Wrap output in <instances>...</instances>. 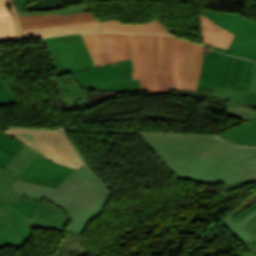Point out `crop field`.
I'll return each mask as SVG.
<instances>
[{"mask_svg": "<svg viewBox=\"0 0 256 256\" xmlns=\"http://www.w3.org/2000/svg\"><path fill=\"white\" fill-rule=\"evenodd\" d=\"M225 104L226 105H232V106H234V107H238V106H242V105H239V104H236V103H232V102H228V101H226L225 102ZM242 107H246V106H242ZM246 108H250V107H246ZM250 109H253L254 110V108H250Z\"/></svg>", "mask_w": 256, "mask_h": 256, "instance_id": "c21b1889", "label": "crop field"}, {"mask_svg": "<svg viewBox=\"0 0 256 256\" xmlns=\"http://www.w3.org/2000/svg\"><path fill=\"white\" fill-rule=\"evenodd\" d=\"M14 191L45 197L67 209L73 222L68 231L81 233L86 222L106 203L108 190L82 165L56 189L15 180Z\"/></svg>", "mask_w": 256, "mask_h": 256, "instance_id": "ac0d7876", "label": "crop field"}, {"mask_svg": "<svg viewBox=\"0 0 256 256\" xmlns=\"http://www.w3.org/2000/svg\"><path fill=\"white\" fill-rule=\"evenodd\" d=\"M136 51L140 71L141 90L148 89L147 70H158L160 35H136Z\"/></svg>", "mask_w": 256, "mask_h": 256, "instance_id": "28ad6ade", "label": "crop field"}, {"mask_svg": "<svg viewBox=\"0 0 256 256\" xmlns=\"http://www.w3.org/2000/svg\"><path fill=\"white\" fill-rule=\"evenodd\" d=\"M214 96L228 98L232 101L242 103L247 92L240 91L232 88H215Z\"/></svg>", "mask_w": 256, "mask_h": 256, "instance_id": "eef30255", "label": "crop field"}, {"mask_svg": "<svg viewBox=\"0 0 256 256\" xmlns=\"http://www.w3.org/2000/svg\"><path fill=\"white\" fill-rule=\"evenodd\" d=\"M255 208H256V203L254 205H252L251 207L238 213L236 216L233 217V219L237 221V220L241 219L242 217H244L247 213L251 212Z\"/></svg>", "mask_w": 256, "mask_h": 256, "instance_id": "0bd39190", "label": "crop field"}, {"mask_svg": "<svg viewBox=\"0 0 256 256\" xmlns=\"http://www.w3.org/2000/svg\"><path fill=\"white\" fill-rule=\"evenodd\" d=\"M12 171H8L0 167V200L7 199L13 203L20 197V193L12 191L14 180L9 178L12 174ZM6 214L3 210L0 209V216Z\"/></svg>", "mask_w": 256, "mask_h": 256, "instance_id": "00972430", "label": "crop field"}, {"mask_svg": "<svg viewBox=\"0 0 256 256\" xmlns=\"http://www.w3.org/2000/svg\"><path fill=\"white\" fill-rule=\"evenodd\" d=\"M17 103L6 87L0 88V106Z\"/></svg>", "mask_w": 256, "mask_h": 256, "instance_id": "d32e631a", "label": "crop field"}, {"mask_svg": "<svg viewBox=\"0 0 256 256\" xmlns=\"http://www.w3.org/2000/svg\"><path fill=\"white\" fill-rule=\"evenodd\" d=\"M40 153L32 160V162L20 173L16 179L26 181L27 178L32 174V172L40 165V163L45 159Z\"/></svg>", "mask_w": 256, "mask_h": 256, "instance_id": "bd1437ed", "label": "crop field"}, {"mask_svg": "<svg viewBox=\"0 0 256 256\" xmlns=\"http://www.w3.org/2000/svg\"><path fill=\"white\" fill-rule=\"evenodd\" d=\"M97 66L130 59L127 34H83Z\"/></svg>", "mask_w": 256, "mask_h": 256, "instance_id": "5a996713", "label": "crop field"}, {"mask_svg": "<svg viewBox=\"0 0 256 256\" xmlns=\"http://www.w3.org/2000/svg\"><path fill=\"white\" fill-rule=\"evenodd\" d=\"M2 86H5V85H4L3 81L0 78V87H2Z\"/></svg>", "mask_w": 256, "mask_h": 256, "instance_id": "03da06ac", "label": "crop field"}, {"mask_svg": "<svg viewBox=\"0 0 256 256\" xmlns=\"http://www.w3.org/2000/svg\"><path fill=\"white\" fill-rule=\"evenodd\" d=\"M92 31H100V22L86 23V24H72V25L61 26V27L28 30V31H23V34H24V39H28V38H36V37H44V36H52V35L70 34L75 32H92Z\"/></svg>", "mask_w": 256, "mask_h": 256, "instance_id": "d9b57169", "label": "crop field"}, {"mask_svg": "<svg viewBox=\"0 0 256 256\" xmlns=\"http://www.w3.org/2000/svg\"><path fill=\"white\" fill-rule=\"evenodd\" d=\"M37 154L38 152L24 144L22 149L13 156L4 168L15 171L11 178H16Z\"/></svg>", "mask_w": 256, "mask_h": 256, "instance_id": "214f88e0", "label": "crop field"}, {"mask_svg": "<svg viewBox=\"0 0 256 256\" xmlns=\"http://www.w3.org/2000/svg\"><path fill=\"white\" fill-rule=\"evenodd\" d=\"M204 47L179 38L164 36L162 70H169V81L196 91Z\"/></svg>", "mask_w": 256, "mask_h": 256, "instance_id": "34b2d1b8", "label": "crop field"}, {"mask_svg": "<svg viewBox=\"0 0 256 256\" xmlns=\"http://www.w3.org/2000/svg\"><path fill=\"white\" fill-rule=\"evenodd\" d=\"M0 208L8 213L0 219L14 232L22 244L31 238L32 228L63 230L68 221L63 210L49 203L33 211L36 216L31 220L4 201H0Z\"/></svg>", "mask_w": 256, "mask_h": 256, "instance_id": "dd49c442", "label": "crop field"}, {"mask_svg": "<svg viewBox=\"0 0 256 256\" xmlns=\"http://www.w3.org/2000/svg\"><path fill=\"white\" fill-rule=\"evenodd\" d=\"M60 93V98L63 101L65 108L70 109L77 105H87L88 97L85 93L81 91L73 90L71 87L62 88L58 86Z\"/></svg>", "mask_w": 256, "mask_h": 256, "instance_id": "a9b5d70f", "label": "crop field"}, {"mask_svg": "<svg viewBox=\"0 0 256 256\" xmlns=\"http://www.w3.org/2000/svg\"><path fill=\"white\" fill-rule=\"evenodd\" d=\"M131 60L73 73L85 90H140L139 80L132 81Z\"/></svg>", "mask_w": 256, "mask_h": 256, "instance_id": "e52e79f7", "label": "crop field"}, {"mask_svg": "<svg viewBox=\"0 0 256 256\" xmlns=\"http://www.w3.org/2000/svg\"><path fill=\"white\" fill-rule=\"evenodd\" d=\"M102 31L105 32H128V33H150L169 34L165 27L158 21L146 24H123L121 21H102Z\"/></svg>", "mask_w": 256, "mask_h": 256, "instance_id": "cbeb9de0", "label": "crop field"}, {"mask_svg": "<svg viewBox=\"0 0 256 256\" xmlns=\"http://www.w3.org/2000/svg\"><path fill=\"white\" fill-rule=\"evenodd\" d=\"M0 241L5 245L23 246L11 230L0 220Z\"/></svg>", "mask_w": 256, "mask_h": 256, "instance_id": "ae1a2a85", "label": "crop field"}, {"mask_svg": "<svg viewBox=\"0 0 256 256\" xmlns=\"http://www.w3.org/2000/svg\"><path fill=\"white\" fill-rule=\"evenodd\" d=\"M73 171L46 158L27 181L56 188Z\"/></svg>", "mask_w": 256, "mask_h": 256, "instance_id": "22f410ed", "label": "crop field"}, {"mask_svg": "<svg viewBox=\"0 0 256 256\" xmlns=\"http://www.w3.org/2000/svg\"><path fill=\"white\" fill-rule=\"evenodd\" d=\"M219 136L237 144L256 145V117Z\"/></svg>", "mask_w": 256, "mask_h": 256, "instance_id": "4a817a6b", "label": "crop field"}, {"mask_svg": "<svg viewBox=\"0 0 256 256\" xmlns=\"http://www.w3.org/2000/svg\"><path fill=\"white\" fill-rule=\"evenodd\" d=\"M5 247L1 242H0V249Z\"/></svg>", "mask_w": 256, "mask_h": 256, "instance_id": "b54c1fbb", "label": "crop field"}, {"mask_svg": "<svg viewBox=\"0 0 256 256\" xmlns=\"http://www.w3.org/2000/svg\"><path fill=\"white\" fill-rule=\"evenodd\" d=\"M3 133L27 144L54 162L73 169L83 164L61 131L10 129Z\"/></svg>", "mask_w": 256, "mask_h": 256, "instance_id": "412701ff", "label": "crop field"}, {"mask_svg": "<svg viewBox=\"0 0 256 256\" xmlns=\"http://www.w3.org/2000/svg\"><path fill=\"white\" fill-rule=\"evenodd\" d=\"M243 103L256 107V94L248 92Z\"/></svg>", "mask_w": 256, "mask_h": 256, "instance_id": "028f5c9d", "label": "crop field"}, {"mask_svg": "<svg viewBox=\"0 0 256 256\" xmlns=\"http://www.w3.org/2000/svg\"><path fill=\"white\" fill-rule=\"evenodd\" d=\"M16 40L13 19L5 0H0V42Z\"/></svg>", "mask_w": 256, "mask_h": 256, "instance_id": "dafd665d", "label": "crop field"}, {"mask_svg": "<svg viewBox=\"0 0 256 256\" xmlns=\"http://www.w3.org/2000/svg\"><path fill=\"white\" fill-rule=\"evenodd\" d=\"M234 57L211 50L204 55L198 88L213 90L214 87H228Z\"/></svg>", "mask_w": 256, "mask_h": 256, "instance_id": "3316defc", "label": "crop field"}, {"mask_svg": "<svg viewBox=\"0 0 256 256\" xmlns=\"http://www.w3.org/2000/svg\"><path fill=\"white\" fill-rule=\"evenodd\" d=\"M43 40L58 76L96 66L82 34Z\"/></svg>", "mask_w": 256, "mask_h": 256, "instance_id": "f4fd0767", "label": "crop field"}, {"mask_svg": "<svg viewBox=\"0 0 256 256\" xmlns=\"http://www.w3.org/2000/svg\"><path fill=\"white\" fill-rule=\"evenodd\" d=\"M199 24L203 34L204 43L228 49L234 34L212 23L201 13Z\"/></svg>", "mask_w": 256, "mask_h": 256, "instance_id": "5142ce71", "label": "crop field"}, {"mask_svg": "<svg viewBox=\"0 0 256 256\" xmlns=\"http://www.w3.org/2000/svg\"><path fill=\"white\" fill-rule=\"evenodd\" d=\"M225 116L237 118L239 120L247 121L251 119L252 117L256 116V111L249 110L246 108L239 107L238 109L228 106L225 114Z\"/></svg>", "mask_w": 256, "mask_h": 256, "instance_id": "d3111659", "label": "crop field"}, {"mask_svg": "<svg viewBox=\"0 0 256 256\" xmlns=\"http://www.w3.org/2000/svg\"><path fill=\"white\" fill-rule=\"evenodd\" d=\"M20 18L23 30L98 21L92 16L91 11L65 16H58L55 14L44 16H20Z\"/></svg>", "mask_w": 256, "mask_h": 256, "instance_id": "d1516ede", "label": "crop field"}, {"mask_svg": "<svg viewBox=\"0 0 256 256\" xmlns=\"http://www.w3.org/2000/svg\"><path fill=\"white\" fill-rule=\"evenodd\" d=\"M244 228L254 236L256 234V219H254L251 223L247 224Z\"/></svg>", "mask_w": 256, "mask_h": 256, "instance_id": "b80d0937", "label": "crop field"}, {"mask_svg": "<svg viewBox=\"0 0 256 256\" xmlns=\"http://www.w3.org/2000/svg\"><path fill=\"white\" fill-rule=\"evenodd\" d=\"M161 35L160 48H159V71H148V83L150 95L156 94H170V88L181 89L168 82V71H161Z\"/></svg>", "mask_w": 256, "mask_h": 256, "instance_id": "bc2a9ffb", "label": "crop field"}, {"mask_svg": "<svg viewBox=\"0 0 256 256\" xmlns=\"http://www.w3.org/2000/svg\"><path fill=\"white\" fill-rule=\"evenodd\" d=\"M243 243L247 246L250 252L242 256H256V240L252 239L244 241Z\"/></svg>", "mask_w": 256, "mask_h": 256, "instance_id": "5866460e", "label": "crop field"}, {"mask_svg": "<svg viewBox=\"0 0 256 256\" xmlns=\"http://www.w3.org/2000/svg\"><path fill=\"white\" fill-rule=\"evenodd\" d=\"M18 10H24L27 4L26 0H13Z\"/></svg>", "mask_w": 256, "mask_h": 256, "instance_id": "c035e120", "label": "crop field"}, {"mask_svg": "<svg viewBox=\"0 0 256 256\" xmlns=\"http://www.w3.org/2000/svg\"><path fill=\"white\" fill-rule=\"evenodd\" d=\"M7 3L10 8L13 19H14V29H15V33H16V38H17V40L22 39L21 26H20V22H19V18H18L17 9H16L14 3L12 2V0H7Z\"/></svg>", "mask_w": 256, "mask_h": 256, "instance_id": "120bbe31", "label": "crop field"}, {"mask_svg": "<svg viewBox=\"0 0 256 256\" xmlns=\"http://www.w3.org/2000/svg\"><path fill=\"white\" fill-rule=\"evenodd\" d=\"M255 62L235 57L233 74L230 82L232 88L248 91ZM241 84V86L239 85Z\"/></svg>", "mask_w": 256, "mask_h": 256, "instance_id": "733c2abd", "label": "crop field"}, {"mask_svg": "<svg viewBox=\"0 0 256 256\" xmlns=\"http://www.w3.org/2000/svg\"><path fill=\"white\" fill-rule=\"evenodd\" d=\"M201 13L212 22L236 34L228 50L214 46L213 49L256 61L255 21L246 20L236 14L212 12L205 9Z\"/></svg>", "mask_w": 256, "mask_h": 256, "instance_id": "d8731c3e", "label": "crop field"}, {"mask_svg": "<svg viewBox=\"0 0 256 256\" xmlns=\"http://www.w3.org/2000/svg\"><path fill=\"white\" fill-rule=\"evenodd\" d=\"M138 135L181 179L221 182L227 191L256 181V148L207 136Z\"/></svg>", "mask_w": 256, "mask_h": 256, "instance_id": "8a807250", "label": "crop field"}, {"mask_svg": "<svg viewBox=\"0 0 256 256\" xmlns=\"http://www.w3.org/2000/svg\"><path fill=\"white\" fill-rule=\"evenodd\" d=\"M256 217V210L247 214L244 218L239 221H234L231 216H227L220 223L225 226L230 232H232L241 241L252 239L253 236L247 232L243 227L249 223L253 218Z\"/></svg>", "mask_w": 256, "mask_h": 256, "instance_id": "92a150f3", "label": "crop field"}, {"mask_svg": "<svg viewBox=\"0 0 256 256\" xmlns=\"http://www.w3.org/2000/svg\"><path fill=\"white\" fill-rule=\"evenodd\" d=\"M255 238H256V236H255Z\"/></svg>", "mask_w": 256, "mask_h": 256, "instance_id": "5d738f31", "label": "crop field"}, {"mask_svg": "<svg viewBox=\"0 0 256 256\" xmlns=\"http://www.w3.org/2000/svg\"><path fill=\"white\" fill-rule=\"evenodd\" d=\"M22 143L0 133V149L14 155L21 147Z\"/></svg>", "mask_w": 256, "mask_h": 256, "instance_id": "750c4746", "label": "crop field"}, {"mask_svg": "<svg viewBox=\"0 0 256 256\" xmlns=\"http://www.w3.org/2000/svg\"><path fill=\"white\" fill-rule=\"evenodd\" d=\"M90 10L88 3L84 5H79L66 9L52 10V11H18L19 15H44V14H54L58 13L59 15L78 13Z\"/></svg>", "mask_w": 256, "mask_h": 256, "instance_id": "730fd06b", "label": "crop field"}, {"mask_svg": "<svg viewBox=\"0 0 256 256\" xmlns=\"http://www.w3.org/2000/svg\"><path fill=\"white\" fill-rule=\"evenodd\" d=\"M24 194L21 195V197L17 200L15 204L5 200L10 205H12L15 209H17L20 213H22L25 217L28 219L33 218L34 214L31 212L32 210L40 207L44 203H40L38 201L41 200V198H35L33 196H30L29 200L22 199Z\"/></svg>", "mask_w": 256, "mask_h": 256, "instance_id": "4177f3b9", "label": "crop field"}, {"mask_svg": "<svg viewBox=\"0 0 256 256\" xmlns=\"http://www.w3.org/2000/svg\"><path fill=\"white\" fill-rule=\"evenodd\" d=\"M128 37H129V44H130L133 69H134V73H132V77H133V80H136V79H139V71H138V64H137V58H136L134 36L133 34H128Z\"/></svg>", "mask_w": 256, "mask_h": 256, "instance_id": "1d83c4d3", "label": "crop field"}, {"mask_svg": "<svg viewBox=\"0 0 256 256\" xmlns=\"http://www.w3.org/2000/svg\"><path fill=\"white\" fill-rule=\"evenodd\" d=\"M12 155L0 150V166L3 167L10 159Z\"/></svg>", "mask_w": 256, "mask_h": 256, "instance_id": "e1f06a70", "label": "crop field"}]
</instances>
